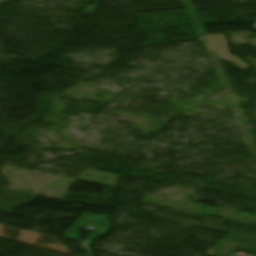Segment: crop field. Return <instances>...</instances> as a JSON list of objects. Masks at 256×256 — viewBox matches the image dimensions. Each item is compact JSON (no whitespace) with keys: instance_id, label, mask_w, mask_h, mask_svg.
Segmentation results:
<instances>
[{"instance_id":"8a807250","label":"crop field","mask_w":256,"mask_h":256,"mask_svg":"<svg viewBox=\"0 0 256 256\" xmlns=\"http://www.w3.org/2000/svg\"><path fill=\"white\" fill-rule=\"evenodd\" d=\"M109 219L110 217L84 214L73 225V227L66 232V234L63 237L78 240L86 248L88 255L91 256L89 244L94 239H96L100 234L105 235L111 230V227L108 222ZM83 226L93 227V231H94V233L85 241V243H82L80 241L79 234H78L79 229Z\"/></svg>"},{"instance_id":"ac0d7876","label":"crop field","mask_w":256,"mask_h":256,"mask_svg":"<svg viewBox=\"0 0 256 256\" xmlns=\"http://www.w3.org/2000/svg\"><path fill=\"white\" fill-rule=\"evenodd\" d=\"M208 49L209 51L218 52L219 57H221L226 62H232L240 69H248L251 68L238 60L233 55H230L228 49L226 47L223 34H215V35H205Z\"/></svg>"}]
</instances>
